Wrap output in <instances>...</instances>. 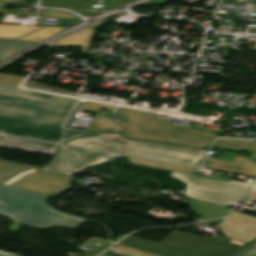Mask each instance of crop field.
<instances>
[{"label":"crop field","mask_w":256,"mask_h":256,"mask_svg":"<svg viewBox=\"0 0 256 256\" xmlns=\"http://www.w3.org/2000/svg\"><path fill=\"white\" fill-rule=\"evenodd\" d=\"M79 101L0 86V132L59 143L99 134L66 127Z\"/></svg>","instance_id":"obj_1"},{"label":"crop field","mask_w":256,"mask_h":256,"mask_svg":"<svg viewBox=\"0 0 256 256\" xmlns=\"http://www.w3.org/2000/svg\"><path fill=\"white\" fill-rule=\"evenodd\" d=\"M47 198L0 186V213L9 216L14 222L39 229L55 226L74 228L85 220L54 210L45 204Z\"/></svg>","instance_id":"obj_2"},{"label":"crop field","mask_w":256,"mask_h":256,"mask_svg":"<svg viewBox=\"0 0 256 256\" xmlns=\"http://www.w3.org/2000/svg\"><path fill=\"white\" fill-rule=\"evenodd\" d=\"M116 113L127 119L120 133L129 138L205 147L211 145L217 136L216 133L170 125V120L156 118L154 114L138 110L120 107Z\"/></svg>","instance_id":"obj_3"},{"label":"crop field","mask_w":256,"mask_h":256,"mask_svg":"<svg viewBox=\"0 0 256 256\" xmlns=\"http://www.w3.org/2000/svg\"><path fill=\"white\" fill-rule=\"evenodd\" d=\"M66 144L150 157L175 163L197 165L206 150L185 146H170L162 143H145L128 140L121 135L108 131L99 136L81 137Z\"/></svg>","instance_id":"obj_4"},{"label":"crop field","mask_w":256,"mask_h":256,"mask_svg":"<svg viewBox=\"0 0 256 256\" xmlns=\"http://www.w3.org/2000/svg\"><path fill=\"white\" fill-rule=\"evenodd\" d=\"M119 244L163 256H232L243 247L179 231L172 232L161 244L131 235Z\"/></svg>","instance_id":"obj_5"},{"label":"crop field","mask_w":256,"mask_h":256,"mask_svg":"<svg viewBox=\"0 0 256 256\" xmlns=\"http://www.w3.org/2000/svg\"><path fill=\"white\" fill-rule=\"evenodd\" d=\"M172 176L187 184L186 196L226 205L236 204L250 187L246 183H227L176 172H173Z\"/></svg>","instance_id":"obj_6"},{"label":"crop field","mask_w":256,"mask_h":256,"mask_svg":"<svg viewBox=\"0 0 256 256\" xmlns=\"http://www.w3.org/2000/svg\"><path fill=\"white\" fill-rule=\"evenodd\" d=\"M115 154L62 145L49 167L40 170L72 176L83 167L102 162Z\"/></svg>","instance_id":"obj_7"},{"label":"crop field","mask_w":256,"mask_h":256,"mask_svg":"<svg viewBox=\"0 0 256 256\" xmlns=\"http://www.w3.org/2000/svg\"><path fill=\"white\" fill-rule=\"evenodd\" d=\"M7 186L46 196H55L71 189V177L36 170Z\"/></svg>","instance_id":"obj_8"},{"label":"crop field","mask_w":256,"mask_h":256,"mask_svg":"<svg viewBox=\"0 0 256 256\" xmlns=\"http://www.w3.org/2000/svg\"><path fill=\"white\" fill-rule=\"evenodd\" d=\"M204 161H211V169L256 176V163L248 157L235 155L232 162L206 157Z\"/></svg>","instance_id":"obj_9"},{"label":"crop field","mask_w":256,"mask_h":256,"mask_svg":"<svg viewBox=\"0 0 256 256\" xmlns=\"http://www.w3.org/2000/svg\"><path fill=\"white\" fill-rule=\"evenodd\" d=\"M0 146L51 154V155H54L55 150L59 147L58 145H54V144L7 137V136H3L0 139Z\"/></svg>","instance_id":"obj_10"},{"label":"crop field","mask_w":256,"mask_h":256,"mask_svg":"<svg viewBox=\"0 0 256 256\" xmlns=\"http://www.w3.org/2000/svg\"><path fill=\"white\" fill-rule=\"evenodd\" d=\"M192 210L203 219L222 217L227 215L230 211L224 206L211 204L195 199H193Z\"/></svg>","instance_id":"obj_11"},{"label":"crop field","mask_w":256,"mask_h":256,"mask_svg":"<svg viewBox=\"0 0 256 256\" xmlns=\"http://www.w3.org/2000/svg\"><path fill=\"white\" fill-rule=\"evenodd\" d=\"M127 158L130 160L132 164L141 165V166H147V167H153V168H159V169H165V170H171V171H177V172H183V173H189V174H192L196 170L195 168H190V167L176 165V164L167 163V162L142 159V158H136V157H130V156H127Z\"/></svg>","instance_id":"obj_12"},{"label":"crop field","mask_w":256,"mask_h":256,"mask_svg":"<svg viewBox=\"0 0 256 256\" xmlns=\"http://www.w3.org/2000/svg\"><path fill=\"white\" fill-rule=\"evenodd\" d=\"M96 29H87L85 31L73 34L59 42L56 45H48V47H59V46H84L89 45Z\"/></svg>","instance_id":"obj_13"},{"label":"crop field","mask_w":256,"mask_h":256,"mask_svg":"<svg viewBox=\"0 0 256 256\" xmlns=\"http://www.w3.org/2000/svg\"><path fill=\"white\" fill-rule=\"evenodd\" d=\"M29 171H33V169L0 162V183L6 184Z\"/></svg>","instance_id":"obj_14"},{"label":"crop field","mask_w":256,"mask_h":256,"mask_svg":"<svg viewBox=\"0 0 256 256\" xmlns=\"http://www.w3.org/2000/svg\"><path fill=\"white\" fill-rule=\"evenodd\" d=\"M40 28L42 27L0 24V38L15 39L19 36L28 34Z\"/></svg>","instance_id":"obj_15"},{"label":"crop field","mask_w":256,"mask_h":256,"mask_svg":"<svg viewBox=\"0 0 256 256\" xmlns=\"http://www.w3.org/2000/svg\"><path fill=\"white\" fill-rule=\"evenodd\" d=\"M216 146L241 151L243 149L254 151L251 157L256 158V142L246 140L217 139Z\"/></svg>","instance_id":"obj_16"},{"label":"crop field","mask_w":256,"mask_h":256,"mask_svg":"<svg viewBox=\"0 0 256 256\" xmlns=\"http://www.w3.org/2000/svg\"><path fill=\"white\" fill-rule=\"evenodd\" d=\"M33 44L35 43L0 40V61Z\"/></svg>","instance_id":"obj_17"},{"label":"crop field","mask_w":256,"mask_h":256,"mask_svg":"<svg viewBox=\"0 0 256 256\" xmlns=\"http://www.w3.org/2000/svg\"><path fill=\"white\" fill-rule=\"evenodd\" d=\"M63 28H55V27H45L39 31H36L28 36L20 38L18 40L21 41H31V42H39L45 38L53 36L57 34L58 31L62 30ZM59 33V32H58Z\"/></svg>","instance_id":"obj_18"},{"label":"crop field","mask_w":256,"mask_h":256,"mask_svg":"<svg viewBox=\"0 0 256 256\" xmlns=\"http://www.w3.org/2000/svg\"><path fill=\"white\" fill-rule=\"evenodd\" d=\"M101 256H155L123 246L115 245Z\"/></svg>","instance_id":"obj_19"},{"label":"crop field","mask_w":256,"mask_h":256,"mask_svg":"<svg viewBox=\"0 0 256 256\" xmlns=\"http://www.w3.org/2000/svg\"><path fill=\"white\" fill-rule=\"evenodd\" d=\"M122 125L123 123L111 121L109 118L98 117L90 130L103 132L106 131V129H109L119 132Z\"/></svg>","instance_id":"obj_20"},{"label":"crop field","mask_w":256,"mask_h":256,"mask_svg":"<svg viewBox=\"0 0 256 256\" xmlns=\"http://www.w3.org/2000/svg\"><path fill=\"white\" fill-rule=\"evenodd\" d=\"M101 108H104V109H107V110L113 112L116 107L108 106V105H102V104H96V103H90V102H85L84 106L81 108L82 111H88V112L97 113L89 128H91V126L93 125V123H94L96 117L98 116Z\"/></svg>","instance_id":"obj_21"},{"label":"crop field","mask_w":256,"mask_h":256,"mask_svg":"<svg viewBox=\"0 0 256 256\" xmlns=\"http://www.w3.org/2000/svg\"><path fill=\"white\" fill-rule=\"evenodd\" d=\"M39 13L41 16L79 19L75 15L64 11L40 10Z\"/></svg>","instance_id":"obj_22"},{"label":"crop field","mask_w":256,"mask_h":256,"mask_svg":"<svg viewBox=\"0 0 256 256\" xmlns=\"http://www.w3.org/2000/svg\"><path fill=\"white\" fill-rule=\"evenodd\" d=\"M24 79L25 78L12 77V76H6V75L0 74V84L20 87V85Z\"/></svg>","instance_id":"obj_23"},{"label":"crop field","mask_w":256,"mask_h":256,"mask_svg":"<svg viewBox=\"0 0 256 256\" xmlns=\"http://www.w3.org/2000/svg\"><path fill=\"white\" fill-rule=\"evenodd\" d=\"M253 200H256V182L253 185L252 189L247 193V195L240 202L251 204Z\"/></svg>","instance_id":"obj_24"},{"label":"crop field","mask_w":256,"mask_h":256,"mask_svg":"<svg viewBox=\"0 0 256 256\" xmlns=\"http://www.w3.org/2000/svg\"><path fill=\"white\" fill-rule=\"evenodd\" d=\"M4 8H5V7H1V6H0V13L35 16L34 13H30V12H21V11H14V10L4 9Z\"/></svg>","instance_id":"obj_25"},{"label":"crop field","mask_w":256,"mask_h":256,"mask_svg":"<svg viewBox=\"0 0 256 256\" xmlns=\"http://www.w3.org/2000/svg\"><path fill=\"white\" fill-rule=\"evenodd\" d=\"M111 244H112V243L109 242V243H107V244H105V245H102V246L105 247V248H107V247L110 246ZM105 248H104V249H105ZM104 249H102V250H104ZM102 250H100V251H98V252L87 251L86 254H84V255H82V256H95V255H97L99 252H101Z\"/></svg>","instance_id":"obj_26"},{"label":"crop field","mask_w":256,"mask_h":256,"mask_svg":"<svg viewBox=\"0 0 256 256\" xmlns=\"http://www.w3.org/2000/svg\"><path fill=\"white\" fill-rule=\"evenodd\" d=\"M20 227H21V224H17V223L13 222L10 229L13 230V231H17V230L20 229Z\"/></svg>","instance_id":"obj_27"},{"label":"crop field","mask_w":256,"mask_h":256,"mask_svg":"<svg viewBox=\"0 0 256 256\" xmlns=\"http://www.w3.org/2000/svg\"><path fill=\"white\" fill-rule=\"evenodd\" d=\"M103 242H105V241L99 240V239H93V240L87 242L86 244L92 243V244H91V246H92V245L95 244V243L101 244V243H103ZM86 244H84V245H86ZM84 245H82V246H84Z\"/></svg>","instance_id":"obj_28"},{"label":"crop field","mask_w":256,"mask_h":256,"mask_svg":"<svg viewBox=\"0 0 256 256\" xmlns=\"http://www.w3.org/2000/svg\"><path fill=\"white\" fill-rule=\"evenodd\" d=\"M243 256H256V248L248 251L246 254H244Z\"/></svg>","instance_id":"obj_29"},{"label":"crop field","mask_w":256,"mask_h":256,"mask_svg":"<svg viewBox=\"0 0 256 256\" xmlns=\"http://www.w3.org/2000/svg\"><path fill=\"white\" fill-rule=\"evenodd\" d=\"M0 2L27 3L24 0H0Z\"/></svg>","instance_id":"obj_30"},{"label":"crop field","mask_w":256,"mask_h":256,"mask_svg":"<svg viewBox=\"0 0 256 256\" xmlns=\"http://www.w3.org/2000/svg\"><path fill=\"white\" fill-rule=\"evenodd\" d=\"M0 256H18V255L13 254V253H5V252L0 251Z\"/></svg>","instance_id":"obj_31"},{"label":"crop field","mask_w":256,"mask_h":256,"mask_svg":"<svg viewBox=\"0 0 256 256\" xmlns=\"http://www.w3.org/2000/svg\"><path fill=\"white\" fill-rule=\"evenodd\" d=\"M98 14H100V13H96V12H87V13H86V16H88V17H93V16H96V15H98Z\"/></svg>","instance_id":"obj_32"},{"label":"crop field","mask_w":256,"mask_h":256,"mask_svg":"<svg viewBox=\"0 0 256 256\" xmlns=\"http://www.w3.org/2000/svg\"><path fill=\"white\" fill-rule=\"evenodd\" d=\"M70 10H72V11H94V10H76V9H70ZM96 12H104V11H96Z\"/></svg>","instance_id":"obj_33"},{"label":"crop field","mask_w":256,"mask_h":256,"mask_svg":"<svg viewBox=\"0 0 256 256\" xmlns=\"http://www.w3.org/2000/svg\"><path fill=\"white\" fill-rule=\"evenodd\" d=\"M78 13L84 14V12H78Z\"/></svg>","instance_id":"obj_34"},{"label":"crop field","mask_w":256,"mask_h":256,"mask_svg":"<svg viewBox=\"0 0 256 256\" xmlns=\"http://www.w3.org/2000/svg\"><path fill=\"white\" fill-rule=\"evenodd\" d=\"M107 243V242H106ZM103 244H105V243H103ZM102 245V244H101Z\"/></svg>","instance_id":"obj_35"}]
</instances>
